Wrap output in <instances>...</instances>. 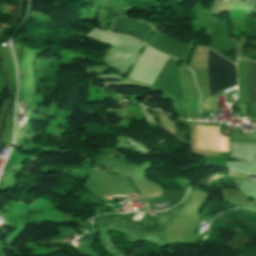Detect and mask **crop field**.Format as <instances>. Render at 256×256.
<instances>
[{
    "label": "crop field",
    "mask_w": 256,
    "mask_h": 256,
    "mask_svg": "<svg viewBox=\"0 0 256 256\" xmlns=\"http://www.w3.org/2000/svg\"><path fill=\"white\" fill-rule=\"evenodd\" d=\"M211 96L217 90L235 85L234 64L209 51L207 62Z\"/></svg>",
    "instance_id": "obj_1"
},
{
    "label": "crop field",
    "mask_w": 256,
    "mask_h": 256,
    "mask_svg": "<svg viewBox=\"0 0 256 256\" xmlns=\"http://www.w3.org/2000/svg\"><path fill=\"white\" fill-rule=\"evenodd\" d=\"M154 28V26L143 20L117 17L113 18V26L110 32L130 35L146 43Z\"/></svg>",
    "instance_id": "obj_2"
},
{
    "label": "crop field",
    "mask_w": 256,
    "mask_h": 256,
    "mask_svg": "<svg viewBox=\"0 0 256 256\" xmlns=\"http://www.w3.org/2000/svg\"><path fill=\"white\" fill-rule=\"evenodd\" d=\"M247 95L250 104H256V63L246 61Z\"/></svg>",
    "instance_id": "obj_3"
},
{
    "label": "crop field",
    "mask_w": 256,
    "mask_h": 256,
    "mask_svg": "<svg viewBox=\"0 0 256 256\" xmlns=\"http://www.w3.org/2000/svg\"><path fill=\"white\" fill-rule=\"evenodd\" d=\"M219 150L228 151V138L219 135Z\"/></svg>",
    "instance_id": "obj_4"
}]
</instances>
